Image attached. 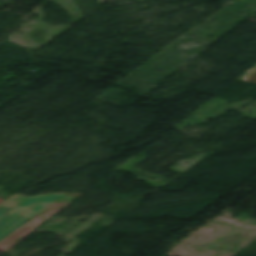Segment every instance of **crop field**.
<instances>
[{
	"label": "crop field",
	"mask_w": 256,
	"mask_h": 256,
	"mask_svg": "<svg viewBox=\"0 0 256 256\" xmlns=\"http://www.w3.org/2000/svg\"><path fill=\"white\" fill-rule=\"evenodd\" d=\"M43 210L10 199L5 201L0 205V240Z\"/></svg>",
	"instance_id": "crop-field-1"
},
{
	"label": "crop field",
	"mask_w": 256,
	"mask_h": 256,
	"mask_svg": "<svg viewBox=\"0 0 256 256\" xmlns=\"http://www.w3.org/2000/svg\"><path fill=\"white\" fill-rule=\"evenodd\" d=\"M82 194H53V195H46V196H38V197H30L27 198L24 195L15 194L10 199L18 200L21 202L33 204L40 207H48L51 204H57L61 202H65L70 204L76 198H78Z\"/></svg>",
	"instance_id": "crop-field-2"
},
{
	"label": "crop field",
	"mask_w": 256,
	"mask_h": 256,
	"mask_svg": "<svg viewBox=\"0 0 256 256\" xmlns=\"http://www.w3.org/2000/svg\"><path fill=\"white\" fill-rule=\"evenodd\" d=\"M238 80L256 85V66L239 77Z\"/></svg>",
	"instance_id": "crop-field-3"
}]
</instances>
